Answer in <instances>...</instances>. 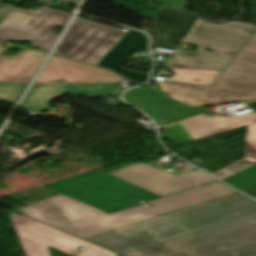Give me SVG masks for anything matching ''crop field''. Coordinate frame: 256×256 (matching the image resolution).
Wrapping results in <instances>:
<instances>
[{"label":"crop field","instance_id":"733c2abd","mask_svg":"<svg viewBox=\"0 0 256 256\" xmlns=\"http://www.w3.org/2000/svg\"><path fill=\"white\" fill-rule=\"evenodd\" d=\"M73 84L34 83L20 107L41 113L46 105L64 94Z\"/></svg>","mask_w":256,"mask_h":256},{"label":"crop field","instance_id":"22f410ed","mask_svg":"<svg viewBox=\"0 0 256 256\" xmlns=\"http://www.w3.org/2000/svg\"><path fill=\"white\" fill-rule=\"evenodd\" d=\"M0 40V82L30 83L47 53L24 48L17 56H4Z\"/></svg>","mask_w":256,"mask_h":256},{"label":"crop field","instance_id":"00972430","mask_svg":"<svg viewBox=\"0 0 256 256\" xmlns=\"http://www.w3.org/2000/svg\"><path fill=\"white\" fill-rule=\"evenodd\" d=\"M161 136L178 143L193 140L181 123L167 127Z\"/></svg>","mask_w":256,"mask_h":256},{"label":"crop field","instance_id":"d9b57169","mask_svg":"<svg viewBox=\"0 0 256 256\" xmlns=\"http://www.w3.org/2000/svg\"><path fill=\"white\" fill-rule=\"evenodd\" d=\"M124 97H127L128 102L148 113L161 125L178 120L162 97L145 88L130 90Z\"/></svg>","mask_w":256,"mask_h":256},{"label":"crop field","instance_id":"4a817a6b","mask_svg":"<svg viewBox=\"0 0 256 256\" xmlns=\"http://www.w3.org/2000/svg\"><path fill=\"white\" fill-rule=\"evenodd\" d=\"M173 73L175 76L171 77L170 80L187 82V83H195L202 85H210L214 82L217 76L222 71H211V70H192V69H178V68H167ZM193 79H201L199 82L194 81Z\"/></svg>","mask_w":256,"mask_h":256},{"label":"crop field","instance_id":"dafd665d","mask_svg":"<svg viewBox=\"0 0 256 256\" xmlns=\"http://www.w3.org/2000/svg\"><path fill=\"white\" fill-rule=\"evenodd\" d=\"M124 77L106 70L99 68L95 73H93L89 78L79 82V83H97V84H116L120 81H125Z\"/></svg>","mask_w":256,"mask_h":256},{"label":"crop field","instance_id":"f4fd0767","mask_svg":"<svg viewBox=\"0 0 256 256\" xmlns=\"http://www.w3.org/2000/svg\"><path fill=\"white\" fill-rule=\"evenodd\" d=\"M255 31V25L236 21L223 25L197 22L184 41L200 45L197 51L175 52L174 58L166 59V67L223 70Z\"/></svg>","mask_w":256,"mask_h":256},{"label":"crop field","instance_id":"1d83c4d3","mask_svg":"<svg viewBox=\"0 0 256 256\" xmlns=\"http://www.w3.org/2000/svg\"><path fill=\"white\" fill-rule=\"evenodd\" d=\"M121 256V255H120Z\"/></svg>","mask_w":256,"mask_h":256},{"label":"crop field","instance_id":"ae1a2a85","mask_svg":"<svg viewBox=\"0 0 256 256\" xmlns=\"http://www.w3.org/2000/svg\"><path fill=\"white\" fill-rule=\"evenodd\" d=\"M187 0H158L159 5L186 10Z\"/></svg>","mask_w":256,"mask_h":256},{"label":"crop field","instance_id":"bc2a9ffb","mask_svg":"<svg viewBox=\"0 0 256 256\" xmlns=\"http://www.w3.org/2000/svg\"><path fill=\"white\" fill-rule=\"evenodd\" d=\"M222 180L239 190H243L256 183V164L234 173Z\"/></svg>","mask_w":256,"mask_h":256},{"label":"crop field","instance_id":"eef30255","mask_svg":"<svg viewBox=\"0 0 256 256\" xmlns=\"http://www.w3.org/2000/svg\"><path fill=\"white\" fill-rule=\"evenodd\" d=\"M256 152V124L248 126L246 157Z\"/></svg>","mask_w":256,"mask_h":256},{"label":"crop field","instance_id":"8a807250","mask_svg":"<svg viewBox=\"0 0 256 256\" xmlns=\"http://www.w3.org/2000/svg\"><path fill=\"white\" fill-rule=\"evenodd\" d=\"M236 192L216 181L154 202L107 214L63 194L14 210L83 239Z\"/></svg>","mask_w":256,"mask_h":256},{"label":"crop field","instance_id":"34b2d1b8","mask_svg":"<svg viewBox=\"0 0 256 256\" xmlns=\"http://www.w3.org/2000/svg\"><path fill=\"white\" fill-rule=\"evenodd\" d=\"M180 250L191 256H256V215L123 256H164Z\"/></svg>","mask_w":256,"mask_h":256},{"label":"crop field","instance_id":"5a996713","mask_svg":"<svg viewBox=\"0 0 256 256\" xmlns=\"http://www.w3.org/2000/svg\"><path fill=\"white\" fill-rule=\"evenodd\" d=\"M126 34L76 17L55 53L96 64Z\"/></svg>","mask_w":256,"mask_h":256},{"label":"crop field","instance_id":"d3111659","mask_svg":"<svg viewBox=\"0 0 256 256\" xmlns=\"http://www.w3.org/2000/svg\"><path fill=\"white\" fill-rule=\"evenodd\" d=\"M17 7L0 3V23L11 14Z\"/></svg>","mask_w":256,"mask_h":256},{"label":"crop field","instance_id":"28ad6ade","mask_svg":"<svg viewBox=\"0 0 256 256\" xmlns=\"http://www.w3.org/2000/svg\"><path fill=\"white\" fill-rule=\"evenodd\" d=\"M198 13L159 7L154 18L156 39L153 46L176 50L175 42H182L189 33Z\"/></svg>","mask_w":256,"mask_h":256},{"label":"crop field","instance_id":"412701ff","mask_svg":"<svg viewBox=\"0 0 256 256\" xmlns=\"http://www.w3.org/2000/svg\"><path fill=\"white\" fill-rule=\"evenodd\" d=\"M163 82L171 99L191 107L256 99V34L212 86Z\"/></svg>","mask_w":256,"mask_h":256},{"label":"crop field","instance_id":"214f88e0","mask_svg":"<svg viewBox=\"0 0 256 256\" xmlns=\"http://www.w3.org/2000/svg\"><path fill=\"white\" fill-rule=\"evenodd\" d=\"M121 87L117 85L75 84L66 89L65 93H74L85 96H102Z\"/></svg>","mask_w":256,"mask_h":256},{"label":"crop field","instance_id":"ac0d7876","mask_svg":"<svg viewBox=\"0 0 256 256\" xmlns=\"http://www.w3.org/2000/svg\"><path fill=\"white\" fill-rule=\"evenodd\" d=\"M255 213L256 202L237 192L85 240L125 254Z\"/></svg>","mask_w":256,"mask_h":256},{"label":"crop field","instance_id":"dd49c442","mask_svg":"<svg viewBox=\"0 0 256 256\" xmlns=\"http://www.w3.org/2000/svg\"><path fill=\"white\" fill-rule=\"evenodd\" d=\"M44 186L107 213L160 197L100 169Z\"/></svg>","mask_w":256,"mask_h":256},{"label":"crop field","instance_id":"a9b5d70f","mask_svg":"<svg viewBox=\"0 0 256 256\" xmlns=\"http://www.w3.org/2000/svg\"><path fill=\"white\" fill-rule=\"evenodd\" d=\"M164 100L167 102V104L170 106V108L173 110V112L176 114V116L179 118V120L206 112L204 107L191 109L187 106H184V105L174 102L172 100H169L166 98H164Z\"/></svg>","mask_w":256,"mask_h":256},{"label":"crop field","instance_id":"bd1437ed","mask_svg":"<svg viewBox=\"0 0 256 256\" xmlns=\"http://www.w3.org/2000/svg\"><path fill=\"white\" fill-rule=\"evenodd\" d=\"M167 256H189V255H187L186 253L180 251V252L173 253V254H170V255H167Z\"/></svg>","mask_w":256,"mask_h":256},{"label":"crop field","instance_id":"3316defc","mask_svg":"<svg viewBox=\"0 0 256 256\" xmlns=\"http://www.w3.org/2000/svg\"><path fill=\"white\" fill-rule=\"evenodd\" d=\"M109 174L160 196L196 186L143 162Z\"/></svg>","mask_w":256,"mask_h":256},{"label":"crop field","instance_id":"4177f3b9","mask_svg":"<svg viewBox=\"0 0 256 256\" xmlns=\"http://www.w3.org/2000/svg\"><path fill=\"white\" fill-rule=\"evenodd\" d=\"M254 163H256V153L220 170V172L222 173V175L224 177H226V176H228L234 172H237V171H239L249 165H252ZM224 177H222V178H224ZM222 178H220V179H222Z\"/></svg>","mask_w":256,"mask_h":256},{"label":"crop field","instance_id":"d1516ede","mask_svg":"<svg viewBox=\"0 0 256 256\" xmlns=\"http://www.w3.org/2000/svg\"><path fill=\"white\" fill-rule=\"evenodd\" d=\"M147 45L148 37L145 34L131 30L97 65L109 68L139 84L145 83L148 75L132 72L121 66L135 53L147 51Z\"/></svg>","mask_w":256,"mask_h":256},{"label":"crop field","instance_id":"5142ce71","mask_svg":"<svg viewBox=\"0 0 256 256\" xmlns=\"http://www.w3.org/2000/svg\"><path fill=\"white\" fill-rule=\"evenodd\" d=\"M97 69L96 66L53 55L36 82L77 83Z\"/></svg>","mask_w":256,"mask_h":256},{"label":"crop field","instance_id":"d8731c3e","mask_svg":"<svg viewBox=\"0 0 256 256\" xmlns=\"http://www.w3.org/2000/svg\"><path fill=\"white\" fill-rule=\"evenodd\" d=\"M71 14L42 9L38 13L17 8L0 24V38L33 42L32 48L49 51L57 34L55 27H64Z\"/></svg>","mask_w":256,"mask_h":256},{"label":"crop field","instance_id":"92a150f3","mask_svg":"<svg viewBox=\"0 0 256 256\" xmlns=\"http://www.w3.org/2000/svg\"><path fill=\"white\" fill-rule=\"evenodd\" d=\"M28 84L0 83V100L16 105Z\"/></svg>","mask_w":256,"mask_h":256},{"label":"crop field","instance_id":"750c4746","mask_svg":"<svg viewBox=\"0 0 256 256\" xmlns=\"http://www.w3.org/2000/svg\"><path fill=\"white\" fill-rule=\"evenodd\" d=\"M243 191L249 194L250 196L256 198V184Z\"/></svg>","mask_w":256,"mask_h":256},{"label":"crop field","instance_id":"730fd06b","mask_svg":"<svg viewBox=\"0 0 256 256\" xmlns=\"http://www.w3.org/2000/svg\"><path fill=\"white\" fill-rule=\"evenodd\" d=\"M179 176L182 177V178H185L189 181H192V182H194L198 185L215 181V179L209 177L208 175L204 174L201 171L190 172V173L182 174V175H179Z\"/></svg>","mask_w":256,"mask_h":256},{"label":"crop field","instance_id":"e52e79f7","mask_svg":"<svg viewBox=\"0 0 256 256\" xmlns=\"http://www.w3.org/2000/svg\"><path fill=\"white\" fill-rule=\"evenodd\" d=\"M9 217L26 256H51L48 246L70 256L81 252V246L87 249L78 256L119 255L23 215L12 212Z\"/></svg>","mask_w":256,"mask_h":256},{"label":"crop field","instance_id":"cbeb9de0","mask_svg":"<svg viewBox=\"0 0 256 256\" xmlns=\"http://www.w3.org/2000/svg\"><path fill=\"white\" fill-rule=\"evenodd\" d=\"M254 112L223 118L220 115H206L191 118L181 122L193 139L209 136L227 130L256 123V101L246 102Z\"/></svg>","mask_w":256,"mask_h":256}]
</instances>
